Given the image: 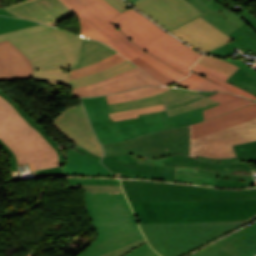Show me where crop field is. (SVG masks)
<instances>
[{
  "label": "crop field",
  "instance_id": "1",
  "mask_svg": "<svg viewBox=\"0 0 256 256\" xmlns=\"http://www.w3.org/2000/svg\"><path fill=\"white\" fill-rule=\"evenodd\" d=\"M121 181L144 235L163 256H182L256 218V189Z\"/></svg>",
  "mask_w": 256,
  "mask_h": 256
},
{
  "label": "crop field",
  "instance_id": "2",
  "mask_svg": "<svg viewBox=\"0 0 256 256\" xmlns=\"http://www.w3.org/2000/svg\"><path fill=\"white\" fill-rule=\"evenodd\" d=\"M47 131L0 89V148L9 157L10 171L29 163L39 178L65 175L66 156Z\"/></svg>",
  "mask_w": 256,
  "mask_h": 256
},
{
  "label": "crop field",
  "instance_id": "3",
  "mask_svg": "<svg viewBox=\"0 0 256 256\" xmlns=\"http://www.w3.org/2000/svg\"><path fill=\"white\" fill-rule=\"evenodd\" d=\"M6 39L33 64L34 79L69 87L68 73H63L62 68L76 65L82 38L65 30L51 29L40 24L0 35V41Z\"/></svg>",
  "mask_w": 256,
  "mask_h": 256
},
{
  "label": "crop field",
  "instance_id": "4",
  "mask_svg": "<svg viewBox=\"0 0 256 256\" xmlns=\"http://www.w3.org/2000/svg\"><path fill=\"white\" fill-rule=\"evenodd\" d=\"M98 238L77 256H100L143 238L123 191L85 194Z\"/></svg>",
  "mask_w": 256,
  "mask_h": 256
},
{
  "label": "crop field",
  "instance_id": "5",
  "mask_svg": "<svg viewBox=\"0 0 256 256\" xmlns=\"http://www.w3.org/2000/svg\"><path fill=\"white\" fill-rule=\"evenodd\" d=\"M190 128L191 157H237L232 145L256 140V103L191 125Z\"/></svg>",
  "mask_w": 256,
  "mask_h": 256
},
{
  "label": "crop field",
  "instance_id": "6",
  "mask_svg": "<svg viewBox=\"0 0 256 256\" xmlns=\"http://www.w3.org/2000/svg\"><path fill=\"white\" fill-rule=\"evenodd\" d=\"M111 22L146 52L186 76L190 73L189 67L201 56L131 8Z\"/></svg>",
  "mask_w": 256,
  "mask_h": 256
},
{
  "label": "crop field",
  "instance_id": "7",
  "mask_svg": "<svg viewBox=\"0 0 256 256\" xmlns=\"http://www.w3.org/2000/svg\"><path fill=\"white\" fill-rule=\"evenodd\" d=\"M62 1L77 15L80 24V36L104 41L130 60L139 56L173 81L186 77L163 61L147 54L129 40L121 30L110 23L114 17L95 3L90 0Z\"/></svg>",
  "mask_w": 256,
  "mask_h": 256
},
{
  "label": "crop field",
  "instance_id": "8",
  "mask_svg": "<svg viewBox=\"0 0 256 256\" xmlns=\"http://www.w3.org/2000/svg\"><path fill=\"white\" fill-rule=\"evenodd\" d=\"M82 101L102 144L173 128L166 111L140 114L136 119L113 122L108 114L105 96L82 98Z\"/></svg>",
  "mask_w": 256,
  "mask_h": 256
},
{
  "label": "crop field",
  "instance_id": "9",
  "mask_svg": "<svg viewBox=\"0 0 256 256\" xmlns=\"http://www.w3.org/2000/svg\"><path fill=\"white\" fill-rule=\"evenodd\" d=\"M103 146L105 148L104 156L127 153H131L134 157L147 159H157L176 153L189 156L190 129L187 126L163 130L125 142Z\"/></svg>",
  "mask_w": 256,
  "mask_h": 256
},
{
  "label": "crop field",
  "instance_id": "10",
  "mask_svg": "<svg viewBox=\"0 0 256 256\" xmlns=\"http://www.w3.org/2000/svg\"><path fill=\"white\" fill-rule=\"evenodd\" d=\"M105 160L124 161V162H137L146 164H158V165H183L199 167L198 172L208 174L213 177H225L232 179H239L246 181L247 186L255 185L254 180L250 179L251 170L247 163L238 164H211L201 162L197 159L190 158L185 155L176 154L170 157L147 160L131 157L128 155H117L103 157Z\"/></svg>",
  "mask_w": 256,
  "mask_h": 256
},
{
  "label": "crop field",
  "instance_id": "11",
  "mask_svg": "<svg viewBox=\"0 0 256 256\" xmlns=\"http://www.w3.org/2000/svg\"><path fill=\"white\" fill-rule=\"evenodd\" d=\"M134 6L169 31L203 15L186 0H140Z\"/></svg>",
  "mask_w": 256,
  "mask_h": 256
},
{
  "label": "crop field",
  "instance_id": "12",
  "mask_svg": "<svg viewBox=\"0 0 256 256\" xmlns=\"http://www.w3.org/2000/svg\"><path fill=\"white\" fill-rule=\"evenodd\" d=\"M53 126L69 140L102 156V146L92 130L83 106L65 109L55 118Z\"/></svg>",
  "mask_w": 256,
  "mask_h": 256
},
{
  "label": "crop field",
  "instance_id": "13",
  "mask_svg": "<svg viewBox=\"0 0 256 256\" xmlns=\"http://www.w3.org/2000/svg\"><path fill=\"white\" fill-rule=\"evenodd\" d=\"M144 85L161 86L148 74L135 67L125 73L113 76L104 81L90 84L81 88L72 89V95L93 96L100 94H109L126 91Z\"/></svg>",
  "mask_w": 256,
  "mask_h": 256
},
{
  "label": "crop field",
  "instance_id": "14",
  "mask_svg": "<svg viewBox=\"0 0 256 256\" xmlns=\"http://www.w3.org/2000/svg\"><path fill=\"white\" fill-rule=\"evenodd\" d=\"M4 9L17 16L49 25L73 15L59 0H27Z\"/></svg>",
  "mask_w": 256,
  "mask_h": 256
},
{
  "label": "crop field",
  "instance_id": "15",
  "mask_svg": "<svg viewBox=\"0 0 256 256\" xmlns=\"http://www.w3.org/2000/svg\"><path fill=\"white\" fill-rule=\"evenodd\" d=\"M172 33L205 52L233 40L201 17L179 27Z\"/></svg>",
  "mask_w": 256,
  "mask_h": 256
},
{
  "label": "crop field",
  "instance_id": "16",
  "mask_svg": "<svg viewBox=\"0 0 256 256\" xmlns=\"http://www.w3.org/2000/svg\"><path fill=\"white\" fill-rule=\"evenodd\" d=\"M217 104L220 103L194 94L164 106L173 126L176 127L203 121L202 110Z\"/></svg>",
  "mask_w": 256,
  "mask_h": 256
},
{
  "label": "crop field",
  "instance_id": "17",
  "mask_svg": "<svg viewBox=\"0 0 256 256\" xmlns=\"http://www.w3.org/2000/svg\"><path fill=\"white\" fill-rule=\"evenodd\" d=\"M256 243V223L191 256H246L243 252Z\"/></svg>",
  "mask_w": 256,
  "mask_h": 256
},
{
  "label": "crop field",
  "instance_id": "18",
  "mask_svg": "<svg viewBox=\"0 0 256 256\" xmlns=\"http://www.w3.org/2000/svg\"><path fill=\"white\" fill-rule=\"evenodd\" d=\"M32 64L8 40L0 42V80L32 78Z\"/></svg>",
  "mask_w": 256,
  "mask_h": 256
},
{
  "label": "crop field",
  "instance_id": "19",
  "mask_svg": "<svg viewBox=\"0 0 256 256\" xmlns=\"http://www.w3.org/2000/svg\"><path fill=\"white\" fill-rule=\"evenodd\" d=\"M67 150V160L63 167L66 175L115 177L98 160L84 156L74 150Z\"/></svg>",
  "mask_w": 256,
  "mask_h": 256
},
{
  "label": "crop field",
  "instance_id": "20",
  "mask_svg": "<svg viewBox=\"0 0 256 256\" xmlns=\"http://www.w3.org/2000/svg\"><path fill=\"white\" fill-rule=\"evenodd\" d=\"M187 1L192 3L200 12L205 14L201 16L203 19L210 22L227 35L245 23L241 17L236 15L233 11L228 10L227 8L218 9L212 12L201 0Z\"/></svg>",
  "mask_w": 256,
  "mask_h": 256
},
{
  "label": "crop field",
  "instance_id": "21",
  "mask_svg": "<svg viewBox=\"0 0 256 256\" xmlns=\"http://www.w3.org/2000/svg\"><path fill=\"white\" fill-rule=\"evenodd\" d=\"M234 39L233 42L220 46L210 53L215 55L230 56L235 50L241 54H246L248 51L256 52V32L252 30L247 23L243 24L230 35Z\"/></svg>",
  "mask_w": 256,
  "mask_h": 256
},
{
  "label": "crop field",
  "instance_id": "22",
  "mask_svg": "<svg viewBox=\"0 0 256 256\" xmlns=\"http://www.w3.org/2000/svg\"><path fill=\"white\" fill-rule=\"evenodd\" d=\"M196 92H199V91L171 89L148 98H144L136 101L124 102V103L110 104L108 105V107L110 112L134 109V108L145 107V106L178 100L180 98L194 94Z\"/></svg>",
  "mask_w": 256,
  "mask_h": 256
},
{
  "label": "crop field",
  "instance_id": "23",
  "mask_svg": "<svg viewBox=\"0 0 256 256\" xmlns=\"http://www.w3.org/2000/svg\"><path fill=\"white\" fill-rule=\"evenodd\" d=\"M209 98L216 100L222 104L209 108L207 110H204L203 111L204 120L254 102L250 99L243 98L230 93H224V92H218L210 96Z\"/></svg>",
  "mask_w": 256,
  "mask_h": 256
},
{
  "label": "crop field",
  "instance_id": "24",
  "mask_svg": "<svg viewBox=\"0 0 256 256\" xmlns=\"http://www.w3.org/2000/svg\"><path fill=\"white\" fill-rule=\"evenodd\" d=\"M114 53L116 52L113 49L101 42L84 40L81 56L75 68L99 62Z\"/></svg>",
  "mask_w": 256,
  "mask_h": 256
},
{
  "label": "crop field",
  "instance_id": "25",
  "mask_svg": "<svg viewBox=\"0 0 256 256\" xmlns=\"http://www.w3.org/2000/svg\"><path fill=\"white\" fill-rule=\"evenodd\" d=\"M102 162L118 177L149 179L152 165L105 161Z\"/></svg>",
  "mask_w": 256,
  "mask_h": 256
},
{
  "label": "crop field",
  "instance_id": "26",
  "mask_svg": "<svg viewBox=\"0 0 256 256\" xmlns=\"http://www.w3.org/2000/svg\"><path fill=\"white\" fill-rule=\"evenodd\" d=\"M133 67H135V65H133L128 60H126L122 63H119L115 66H112V67L102 70L100 72L94 73L92 75L82 77L79 79H75V80H71L70 81L71 87L77 88V87H81V86H84V85H87V84H90L93 82L101 81V80L111 77L113 75L125 72Z\"/></svg>",
  "mask_w": 256,
  "mask_h": 256
},
{
  "label": "crop field",
  "instance_id": "27",
  "mask_svg": "<svg viewBox=\"0 0 256 256\" xmlns=\"http://www.w3.org/2000/svg\"><path fill=\"white\" fill-rule=\"evenodd\" d=\"M168 88H163V87L138 88V89L124 92V93L108 95L107 100H108V104L116 103V102L130 101V100H135V99L151 96L153 94L168 90Z\"/></svg>",
  "mask_w": 256,
  "mask_h": 256
},
{
  "label": "crop field",
  "instance_id": "28",
  "mask_svg": "<svg viewBox=\"0 0 256 256\" xmlns=\"http://www.w3.org/2000/svg\"><path fill=\"white\" fill-rule=\"evenodd\" d=\"M178 84H181L189 89H194V90H219V91H224V92H231L235 93L233 91H230L208 79L205 77L195 73L192 71V75L189 77L176 82Z\"/></svg>",
  "mask_w": 256,
  "mask_h": 256
},
{
  "label": "crop field",
  "instance_id": "29",
  "mask_svg": "<svg viewBox=\"0 0 256 256\" xmlns=\"http://www.w3.org/2000/svg\"><path fill=\"white\" fill-rule=\"evenodd\" d=\"M124 60H126V59H124L122 56H120L117 53L99 63L72 70L70 73V80L100 71L102 69L108 68V67L115 65L119 62H122Z\"/></svg>",
  "mask_w": 256,
  "mask_h": 256
},
{
  "label": "crop field",
  "instance_id": "30",
  "mask_svg": "<svg viewBox=\"0 0 256 256\" xmlns=\"http://www.w3.org/2000/svg\"><path fill=\"white\" fill-rule=\"evenodd\" d=\"M192 70L197 73H200L201 75H203V76H205V77H207V78H209V79H211V80H213V81H215V82H217V83H219V84H221V85H223V86H225L243 96H246V97L256 100V97L251 95L250 93H248L242 89H239L230 83L225 82L227 77H225L217 72H214L212 70H209V69L199 66L197 64H195L193 66Z\"/></svg>",
  "mask_w": 256,
  "mask_h": 256
},
{
  "label": "crop field",
  "instance_id": "31",
  "mask_svg": "<svg viewBox=\"0 0 256 256\" xmlns=\"http://www.w3.org/2000/svg\"><path fill=\"white\" fill-rule=\"evenodd\" d=\"M197 64L207 67L209 69H212L214 71H217L227 77H230L238 69V67L228 62L214 59V58L208 57L207 55L203 56L197 62Z\"/></svg>",
  "mask_w": 256,
  "mask_h": 256
},
{
  "label": "crop field",
  "instance_id": "32",
  "mask_svg": "<svg viewBox=\"0 0 256 256\" xmlns=\"http://www.w3.org/2000/svg\"><path fill=\"white\" fill-rule=\"evenodd\" d=\"M227 81L256 95V77L246 73L240 68L230 78H228Z\"/></svg>",
  "mask_w": 256,
  "mask_h": 256
},
{
  "label": "crop field",
  "instance_id": "33",
  "mask_svg": "<svg viewBox=\"0 0 256 256\" xmlns=\"http://www.w3.org/2000/svg\"><path fill=\"white\" fill-rule=\"evenodd\" d=\"M37 24L39 23H35L30 20L0 16V34L23 29Z\"/></svg>",
  "mask_w": 256,
  "mask_h": 256
},
{
  "label": "crop field",
  "instance_id": "34",
  "mask_svg": "<svg viewBox=\"0 0 256 256\" xmlns=\"http://www.w3.org/2000/svg\"><path fill=\"white\" fill-rule=\"evenodd\" d=\"M215 180L216 178L210 177L205 174L179 170L177 182H187L214 186Z\"/></svg>",
  "mask_w": 256,
  "mask_h": 256
},
{
  "label": "crop field",
  "instance_id": "35",
  "mask_svg": "<svg viewBox=\"0 0 256 256\" xmlns=\"http://www.w3.org/2000/svg\"><path fill=\"white\" fill-rule=\"evenodd\" d=\"M160 110H164V107L162 104L140 108V109L128 110V111L113 112L109 114L111 118H113V120L116 121V120L136 118L137 117L136 114L160 111Z\"/></svg>",
  "mask_w": 256,
  "mask_h": 256
},
{
  "label": "crop field",
  "instance_id": "36",
  "mask_svg": "<svg viewBox=\"0 0 256 256\" xmlns=\"http://www.w3.org/2000/svg\"><path fill=\"white\" fill-rule=\"evenodd\" d=\"M233 147L240 162L256 158V141Z\"/></svg>",
  "mask_w": 256,
  "mask_h": 256
},
{
  "label": "crop field",
  "instance_id": "37",
  "mask_svg": "<svg viewBox=\"0 0 256 256\" xmlns=\"http://www.w3.org/2000/svg\"><path fill=\"white\" fill-rule=\"evenodd\" d=\"M150 179L175 181V166L153 165V170Z\"/></svg>",
  "mask_w": 256,
  "mask_h": 256
},
{
  "label": "crop field",
  "instance_id": "38",
  "mask_svg": "<svg viewBox=\"0 0 256 256\" xmlns=\"http://www.w3.org/2000/svg\"><path fill=\"white\" fill-rule=\"evenodd\" d=\"M133 63H135L137 66H139L141 69L147 71L153 78L157 79L160 83L166 85L173 81L165 77L163 74L155 70L153 67H151L149 64H147L145 61L140 59L139 57L132 60ZM146 72V73H147Z\"/></svg>",
  "mask_w": 256,
  "mask_h": 256
},
{
  "label": "crop field",
  "instance_id": "39",
  "mask_svg": "<svg viewBox=\"0 0 256 256\" xmlns=\"http://www.w3.org/2000/svg\"><path fill=\"white\" fill-rule=\"evenodd\" d=\"M69 184L81 185H113L120 184L117 179L67 178Z\"/></svg>",
  "mask_w": 256,
  "mask_h": 256
},
{
  "label": "crop field",
  "instance_id": "40",
  "mask_svg": "<svg viewBox=\"0 0 256 256\" xmlns=\"http://www.w3.org/2000/svg\"><path fill=\"white\" fill-rule=\"evenodd\" d=\"M68 187L83 188L84 189V193H90V192H109V191L122 190L121 185H114V186H80V185H69Z\"/></svg>",
  "mask_w": 256,
  "mask_h": 256
},
{
  "label": "crop field",
  "instance_id": "41",
  "mask_svg": "<svg viewBox=\"0 0 256 256\" xmlns=\"http://www.w3.org/2000/svg\"><path fill=\"white\" fill-rule=\"evenodd\" d=\"M145 242H147V241L145 240V238H143V239H141V240H138V241H136V242H134V243H131V244H129V245H126V246H124V247H121V248H119V249H117V250H114V251L109 252V253H107V254H105V255H102V256H122V255H124L125 253L129 252L130 250H132V249L138 247L139 245H141V244H143V243H145Z\"/></svg>",
  "mask_w": 256,
  "mask_h": 256
},
{
  "label": "crop field",
  "instance_id": "42",
  "mask_svg": "<svg viewBox=\"0 0 256 256\" xmlns=\"http://www.w3.org/2000/svg\"><path fill=\"white\" fill-rule=\"evenodd\" d=\"M215 186L241 188L246 187V184L245 182L239 180L217 178Z\"/></svg>",
  "mask_w": 256,
  "mask_h": 256
},
{
  "label": "crop field",
  "instance_id": "43",
  "mask_svg": "<svg viewBox=\"0 0 256 256\" xmlns=\"http://www.w3.org/2000/svg\"><path fill=\"white\" fill-rule=\"evenodd\" d=\"M235 13L240 15L245 20V22H247L249 24V26L256 31V17H254L253 15L249 14L244 9H241V10L235 12Z\"/></svg>",
  "mask_w": 256,
  "mask_h": 256
},
{
  "label": "crop field",
  "instance_id": "44",
  "mask_svg": "<svg viewBox=\"0 0 256 256\" xmlns=\"http://www.w3.org/2000/svg\"><path fill=\"white\" fill-rule=\"evenodd\" d=\"M91 1L98 4L101 8H103L105 11H107L114 17L117 16L119 13H121L117 9H115L113 6H111L108 2H106L105 0H91Z\"/></svg>",
  "mask_w": 256,
  "mask_h": 256
},
{
  "label": "crop field",
  "instance_id": "45",
  "mask_svg": "<svg viewBox=\"0 0 256 256\" xmlns=\"http://www.w3.org/2000/svg\"><path fill=\"white\" fill-rule=\"evenodd\" d=\"M222 60H226V61H229L237 66H239L240 68H242L243 70L251 73L252 75L256 76V70L248 67L246 64H244L242 61H238V60H233V59H223V58H220Z\"/></svg>",
  "mask_w": 256,
  "mask_h": 256
},
{
  "label": "crop field",
  "instance_id": "46",
  "mask_svg": "<svg viewBox=\"0 0 256 256\" xmlns=\"http://www.w3.org/2000/svg\"><path fill=\"white\" fill-rule=\"evenodd\" d=\"M106 1H108L111 5H113L115 8H117L121 12H123L125 9L130 7L122 0H106Z\"/></svg>",
  "mask_w": 256,
  "mask_h": 256
},
{
  "label": "crop field",
  "instance_id": "47",
  "mask_svg": "<svg viewBox=\"0 0 256 256\" xmlns=\"http://www.w3.org/2000/svg\"><path fill=\"white\" fill-rule=\"evenodd\" d=\"M148 248H150L148 243H145L141 246H139L138 248L130 251L129 253L125 254L124 256H136L140 253H142L143 251L147 250Z\"/></svg>",
  "mask_w": 256,
  "mask_h": 256
},
{
  "label": "crop field",
  "instance_id": "48",
  "mask_svg": "<svg viewBox=\"0 0 256 256\" xmlns=\"http://www.w3.org/2000/svg\"><path fill=\"white\" fill-rule=\"evenodd\" d=\"M203 2H205L209 7L210 9L213 11L217 8H223L222 6H220L219 4H217V2H215L214 0H202ZM222 4L224 3L223 0H219ZM204 3V4H205Z\"/></svg>",
  "mask_w": 256,
  "mask_h": 256
},
{
  "label": "crop field",
  "instance_id": "49",
  "mask_svg": "<svg viewBox=\"0 0 256 256\" xmlns=\"http://www.w3.org/2000/svg\"><path fill=\"white\" fill-rule=\"evenodd\" d=\"M76 147H77L78 150L84 152L86 155H88V156H90V157L96 158V159H98V160H99L100 157H101V156H99V155H97V154H95V153H93V152H91V151H88V150H86V149H84V148H82V147H80V146H77V145H76Z\"/></svg>",
  "mask_w": 256,
  "mask_h": 256
},
{
  "label": "crop field",
  "instance_id": "50",
  "mask_svg": "<svg viewBox=\"0 0 256 256\" xmlns=\"http://www.w3.org/2000/svg\"><path fill=\"white\" fill-rule=\"evenodd\" d=\"M139 256H160L152 248L140 254Z\"/></svg>",
  "mask_w": 256,
  "mask_h": 256
},
{
  "label": "crop field",
  "instance_id": "51",
  "mask_svg": "<svg viewBox=\"0 0 256 256\" xmlns=\"http://www.w3.org/2000/svg\"><path fill=\"white\" fill-rule=\"evenodd\" d=\"M178 169H182V170H188V171H194L197 172L198 168H194V167H183V166H176V179H177V173H178Z\"/></svg>",
  "mask_w": 256,
  "mask_h": 256
},
{
  "label": "crop field",
  "instance_id": "52",
  "mask_svg": "<svg viewBox=\"0 0 256 256\" xmlns=\"http://www.w3.org/2000/svg\"><path fill=\"white\" fill-rule=\"evenodd\" d=\"M248 256H255L256 255V244L249 248L247 251L244 252Z\"/></svg>",
  "mask_w": 256,
  "mask_h": 256
},
{
  "label": "crop field",
  "instance_id": "53",
  "mask_svg": "<svg viewBox=\"0 0 256 256\" xmlns=\"http://www.w3.org/2000/svg\"><path fill=\"white\" fill-rule=\"evenodd\" d=\"M0 14L14 16V15L6 12L3 8H0ZM14 17H17V16H14Z\"/></svg>",
  "mask_w": 256,
  "mask_h": 256
},
{
  "label": "crop field",
  "instance_id": "54",
  "mask_svg": "<svg viewBox=\"0 0 256 256\" xmlns=\"http://www.w3.org/2000/svg\"><path fill=\"white\" fill-rule=\"evenodd\" d=\"M129 2H131L132 4L135 2V1H137V0H128ZM130 3V4H131Z\"/></svg>",
  "mask_w": 256,
  "mask_h": 256
},
{
  "label": "crop field",
  "instance_id": "55",
  "mask_svg": "<svg viewBox=\"0 0 256 256\" xmlns=\"http://www.w3.org/2000/svg\"><path fill=\"white\" fill-rule=\"evenodd\" d=\"M251 161H255V162H256V159H254V160H250V161H247V162H251Z\"/></svg>",
  "mask_w": 256,
  "mask_h": 256
},
{
  "label": "crop field",
  "instance_id": "56",
  "mask_svg": "<svg viewBox=\"0 0 256 256\" xmlns=\"http://www.w3.org/2000/svg\"><path fill=\"white\" fill-rule=\"evenodd\" d=\"M0 7H2L1 0H0Z\"/></svg>",
  "mask_w": 256,
  "mask_h": 256
}]
</instances>
